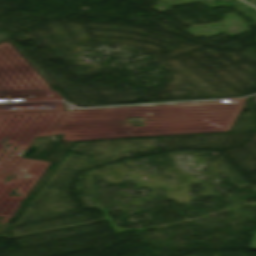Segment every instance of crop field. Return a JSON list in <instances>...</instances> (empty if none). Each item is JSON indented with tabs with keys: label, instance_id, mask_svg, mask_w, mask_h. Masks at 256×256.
I'll list each match as a JSON object with an SVG mask.
<instances>
[{
	"label": "crop field",
	"instance_id": "1",
	"mask_svg": "<svg viewBox=\"0 0 256 256\" xmlns=\"http://www.w3.org/2000/svg\"><path fill=\"white\" fill-rule=\"evenodd\" d=\"M249 249H254L256 250V233L253 235L252 237V241H251V244H250V248Z\"/></svg>",
	"mask_w": 256,
	"mask_h": 256
}]
</instances>
